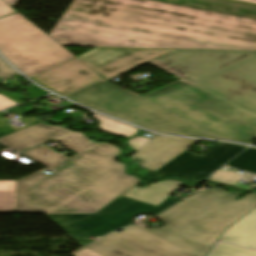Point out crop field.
I'll return each mask as SVG.
<instances>
[{"label":"crop field","mask_w":256,"mask_h":256,"mask_svg":"<svg viewBox=\"0 0 256 256\" xmlns=\"http://www.w3.org/2000/svg\"><path fill=\"white\" fill-rule=\"evenodd\" d=\"M146 62L181 79L143 97L99 81L67 98L156 132L245 144L256 135V52L96 48L31 79L64 96Z\"/></svg>","instance_id":"8a807250"},{"label":"crop field","mask_w":256,"mask_h":256,"mask_svg":"<svg viewBox=\"0 0 256 256\" xmlns=\"http://www.w3.org/2000/svg\"><path fill=\"white\" fill-rule=\"evenodd\" d=\"M61 46L256 51V0H74Z\"/></svg>","instance_id":"ac0d7876"},{"label":"crop field","mask_w":256,"mask_h":256,"mask_svg":"<svg viewBox=\"0 0 256 256\" xmlns=\"http://www.w3.org/2000/svg\"><path fill=\"white\" fill-rule=\"evenodd\" d=\"M50 139L78 154L52 175L38 171L17 180V213H94L141 182L114 161L119 148L61 126L40 122L0 143L21 152Z\"/></svg>","instance_id":"34b2d1b8"},{"label":"crop field","mask_w":256,"mask_h":256,"mask_svg":"<svg viewBox=\"0 0 256 256\" xmlns=\"http://www.w3.org/2000/svg\"><path fill=\"white\" fill-rule=\"evenodd\" d=\"M199 191L156 216L160 228L135 225L112 233L74 256H205L225 230L256 207V192Z\"/></svg>","instance_id":"412701ff"},{"label":"crop field","mask_w":256,"mask_h":256,"mask_svg":"<svg viewBox=\"0 0 256 256\" xmlns=\"http://www.w3.org/2000/svg\"><path fill=\"white\" fill-rule=\"evenodd\" d=\"M0 52L29 78L74 58L19 13L0 19Z\"/></svg>","instance_id":"f4fd0767"},{"label":"crop field","mask_w":256,"mask_h":256,"mask_svg":"<svg viewBox=\"0 0 256 256\" xmlns=\"http://www.w3.org/2000/svg\"><path fill=\"white\" fill-rule=\"evenodd\" d=\"M179 198L168 197L158 206L118 197L95 214H46L82 247L94 241L88 237L103 236L132 223L139 214H152L167 209Z\"/></svg>","instance_id":"dd49c442"},{"label":"crop field","mask_w":256,"mask_h":256,"mask_svg":"<svg viewBox=\"0 0 256 256\" xmlns=\"http://www.w3.org/2000/svg\"><path fill=\"white\" fill-rule=\"evenodd\" d=\"M245 147L218 142L201 155L185 151L155 172L153 176L155 178L177 177L197 183L207 178L217 167Z\"/></svg>","instance_id":"e52e79f7"},{"label":"crop field","mask_w":256,"mask_h":256,"mask_svg":"<svg viewBox=\"0 0 256 256\" xmlns=\"http://www.w3.org/2000/svg\"><path fill=\"white\" fill-rule=\"evenodd\" d=\"M198 140L155 135L133 156V160L155 172Z\"/></svg>","instance_id":"d8731c3e"},{"label":"crop field","mask_w":256,"mask_h":256,"mask_svg":"<svg viewBox=\"0 0 256 256\" xmlns=\"http://www.w3.org/2000/svg\"><path fill=\"white\" fill-rule=\"evenodd\" d=\"M220 240L256 248V208L229 227Z\"/></svg>","instance_id":"5a996713"},{"label":"crop field","mask_w":256,"mask_h":256,"mask_svg":"<svg viewBox=\"0 0 256 256\" xmlns=\"http://www.w3.org/2000/svg\"><path fill=\"white\" fill-rule=\"evenodd\" d=\"M182 184L172 180L159 181L143 188L134 187L122 196L158 205Z\"/></svg>","instance_id":"3316defc"},{"label":"crop field","mask_w":256,"mask_h":256,"mask_svg":"<svg viewBox=\"0 0 256 256\" xmlns=\"http://www.w3.org/2000/svg\"><path fill=\"white\" fill-rule=\"evenodd\" d=\"M52 169H56L60 166L68 157L59 154L51 149H48L44 146L26 151L22 153Z\"/></svg>","instance_id":"28ad6ade"},{"label":"crop field","mask_w":256,"mask_h":256,"mask_svg":"<svg viewBox=\"0 0 256 256\" xmlns=\"http://www.w3.org/2000/svg\"><path fill=\"white\" fill-rule=\"evenodd\" d=\"M0 211H16V181H0Z\"/></svg>","instance_id":"d1516ede"},{"label":"crop field","mask_w":256,"mask_h":256,"mask_svg":"<svg viewBox=\"0 0 256 256\" xmlns=\"http://www.w3.org/2000/svg\"><path fill=\"white\" fill-rule=\"evenodd\" d=\"M225 165L256 174V149H247Z\"/></svg>","instance_id":"22f410ed"},{"label":"crop field","mask_w":256,"mask_h":256,"mask_svg":"<svg viewBox=\"0 0 256 256\" xmlns=\"http://www.w3.org/2000/svg\"><path fill=\"white\" fill-rule=\"evenodd\" d=\"M208 256H256V250L249 251L237 246L220 242Z\"/></svg>","instance_id":"cbeb9de0"},{"label":"crop field","mask_w":256,"mask_h":256,"mask_svg":"<svg viewBox=\"0 0 256 256\" xmlns=\"http://www.w3.org/2000/svg\"><path fill=\"white\" fill-rule=\"evenodd\" d=\"M15 70L9 67L1 58H0V79L7 80L15 75H17Z\"/></svg>","instance_id":"5142ce71"},{"label":"crop field","mask_w":256,"mask_h":256,"mask_svg":"<svg viewBox=\"0 0 256 256\" xmlns=\"http://www.w3.org/2000/svg\"><path fill=\"white\" fill-rule=\"evenodd\" d=\"M210 180L225 183V184H229V185H233V186H237V187H239L241 189H244V190H250V189H252L253 187L256 186V184H253L251 186H244V185L238 183L237 181L225 179V178L214 176V175H212Z\"/></svg>","instance_id":"d9b57169"},{"label":"crop field","mask_w":256,"mask_h":256,"mask_svg":"<svg viewBox=\"0 0 256 256\" xmlns=\"http://www.w3.org/2000/svg\"><path fill=\"white\" fill-rule=\"evenodd\" d=\"M146 140H147V138L134 137V138L128 140L127 142L131 146L132 149L138 151Z\"/></svg>","instance_id":"733c2abd"},{"label":"crop field","mask_w":256,"mask_h":256,"mask_svg":"<svg viewBox=\"0 0 256 256\" xmlns=\"http://www.w3.org/2000/svg\"><path fill=\"white\" fill-rule=\"evenodd\" d=\"M213 174L218 175V176H222V177H226V178H229V179L237 180V181L240 179V176L242 175V174H238V173H235V172H232V171H221V170H218Z\"/></svg>","instance_id":"4a817a6b"},{"label":"crop field","mask_w":256,"mask_h":256,"mask_svg":"<svg viewBox=\"0 0 256 256\" xmlns=\"http://www.w3.org/2000/svg\"><path fill=\"white\" fill-rule=\"evenodd\" d=\"M16 104L18 103L0 94V110L6 109Z\"/></svg>","instance_id":"bc2a9ffb"},{"label":"crop field","mask_w":256,"mask_h":256,"mask_svg":"<svg viewBox=\"0 0 256 256\" xmlns=\"http://www.w3.org/2000/svg\"><path fill=\"white\" fill-rule=\"evenodd\" d=\"M29 89H30L29 90L30 96L32 98H38L40 96H43V95H46V94L49 93V92H47V91H45V90H43V89H41V88H39L37 86L30 87Z\"/></svg>","instance_id":"214f88e0"},{"label":"crop field","mask_w":256,"mask_h":256,"mask_svg":"<svg viewBox=\"0 0 256 256\" xmlns=\"http://www.w3.org/2000/svg\"><path fill=\"white\" fill-rule=\"evenodd\" d=\"M13 12L16 11L12 9L10 6H8L6 3H4L2 0H0V17L8 15Z\"/></svg>","instance_id":"92a150f3"},{"label":"crop field","mask_w":256,"mask_h":256,"mask_svg":"<svg viewBox=\"0 0 256 256\" xmlns=\"http://www.w3.org/2000/svg\"><path fill=\"white\" fill-rule=\"evenodd\" d=\"M0 93L3 94V95H5V96H7V97H9V98H11V99H13V100H15V101H17V102H19V103L22 102V101L20 100V98H19L17 95L9 94V93L4 92V91H2V92H0ZM17 102H16V103H17Z\"/></svg>","instance_id":"dafd665d"},{"label":"crop field","mask_w":256,"mask_h":256,"mask_svg":"<svg viewBox=\"0 0 256 256\" xmlns=\"http://www.w3.org/2000/svg\"><path fill=\"white\" fill-rule=\"evenodd\" d=\"M4 2H6L8 5H10L11 7H14L15 4L19 1V0H3Z\"/></svg>","instance_id":"00972430"},{"label":"crop field","mask_w":256,"mask_h":256,"mask_svg":"<svg viewBox=\"0 0 256 256\" xmlns=\"http://www.w3.org/2000/svg\"><path fill=\"white\" fill-rule=\"evenodd\" d=\"M248 174V173H247ZM246 175V174H245ZM253 175L252 174H248L244 177H242V180H247V179H250Z\"/></svg>","instance_id":"a9b5d70f"},{"label":"crop field","mask_w":256,"mask_h":256,"mask_svg":"<svg viewBox=\"0 0 256 256\" xmlns=\"http://www.w3.org/2000/svg\"><path fill=\"white\" fill-rule=\"evenodd\" d=\"M5 115H7V114L4 113V112H0V117H3V116H5Z\"/></svg>","instance_id":"4177f3b9"},{"label":"crop field","mask_w":256,"mask_h":256,"mask_svg":"<svg viewBox=\"0 0 256 256\" xmlns=\"http://www.w3.org/2000/svg\"><path fill=\"white\" fill-rule=\"evenodd\" d=\"M256 137V136H255Z\"/></svg>","instance_id":"730fd06b"},{"label":"crop field","mask_w":256,"mask_h":256,"mask_svg":"<svg viewBox=\"0 0 256 256\" xmlns=\"http://www.w3.org/2000/svg\"><path fill=\"white\" fill-rule=\"evenodd\" d=\"M1 91V90H0Z\"/></svg>","instance_id":"eef30255"}]
</instances>
